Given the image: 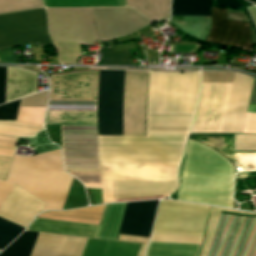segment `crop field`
Masks as SVG:
<instances>
[{"instance_id": "0bd39190", "label": "crop field", "mask_w": 256, "mask_h": 256, "mask_svg": "<svg viewBox=\"0 0 256 256\" xmlns=\"http://www.w3.org/2000/svg\"><path fill=\"white\" fill-rule=\"evenodd\" d=\"M234 73L202 72V82L232 83Z\"/></svg>"}, {"instance_id": "e1f06a70", "label": "crop field", "mask_w": 256, "mask_h": 256, "mask_svg": "<svg viewBox=\"0 0 256 256\" xmlns=\"http://www.w3.org/2000/svg\"><path fill=\"white\" fill-rule=\"evenodd\" d=\"M202 237L152 234L150 241L200 244Z\"/></svg>"}, {"instance_id": "00972430", "label": "crop field", "mask_w": 256, "mask_h": 256, "mask_svg": "<svg viewBox=\"0 0 256 256\" xmlns=\"http://www.w3.org/2000/svg\"><path fill=\"white\" fill-rule=\"evenodd\" d=\"M139 245L89 238L82 256H136ZM146 246L140 245L137 256H144Z\"/></svg>"}, {"instance_id": "5a996713", "label": "crop field", "mask_w": 256, "mask_h": 256, "mask_svg": "<svg viewBox=\"0 0 256 256\" xmlns=\"http://www.w3.org/2000/svg\"><path fill=\"white\" fill-rule=\"evenodd\" d=\"M46 20L44 9L0 15V49L28 43L31 48L53 45Z\"/></svg>"}, {"instance_id": "ac0d7876", "label": "crop field", "mask_w": 256, "mask_h": 256, "mask_svg": "<svg viewBox=\"0 0 256 256\" xmlns=\"http://www.w3.org/2000/svg\"><path fill=\"white\" fill-rule=\"evenodd\" d=\"M193 116H147V137L99 136L100 160L179 161Z\"/></svg>"}, {"instance_id": "cbeb9de0", "label": "crop field", "mask_w": 256, "mask_h": 256, "mask_svg": "<svg viewBox=\"0 0 256 256\" xmlns=\"http://www.w3.org/2000/svg\"><path fill=\"white\" fill-rule=\"evenodd\" d=\"M102 180L177 181L179 162H100Z\"/></svg>"}, {"instance_id": "bc2a9ffb", "label": "crop field", "mask_w": 256, "mask_h": 256, "mask_svg": "<svg viewBox=\"0 0 256 256\" xmlns=\"http://www.w3.org/2000/svg\"><path fill=\"white\" fill-rule=\"evenodd\" d=\"M45 204L15 185L0 207V217L27 227Z\"/></svg>"}, {"instance_id": "25e5ab78", "label": "crop field", "mask_w": 256, "mask_h": 256, "mask_svg": "<svg viewBox=\"0 0 256 256\" xmlns=\"http://www.w3.org/2000/svg\"><path fill=\"white\" fill-rule=\"evenodd\" d=\"M256 255V224L255 228L249 243V247L246 253V256H255Z\"/></svg>"}, {"instance_id": "73cf0c24", "label": "crop field", "mask_w": 256, "mask_h": 256, "mask_svg": "<svg viewBox=\"0 0 256 256\" xmlns=\"http://www.w3.org/2000/svg\"><path fill=\"white\" fill-rule=\"evenodd\" d=\"M149 238L145 237H137V236H126V235H119L118 240L121 241H129V242H140V243H147Z\"/></svg>"}, {"instance_id": "5142ce71", "label": "crop field", "mask_w": 256, "mask_h": 256, "mask_svg": "<svg viewBox=\"0 0 256 256\" xmlns=\"http://www.w3.org/2000/svg\"><path fill=\"white\" fill-rule=\"evenodd\" d=\"M90 9L100 40L125 36L151 24L130 7Z\"/></svg>"}, {"instance_id": "bd1437ed", "label": "crop field", "mask_w": 256, "mask_h": 256, "mask_svg": "<svg viewBox=\"0 0 256 256\" xmlns=\"http://www.w3.org/2000/svg\"><path fill=\"white\" fill-rule=\"evenodd\" d=\"M45 7L126 6L124 0H43Z\"/></svg>"}, {"instance_id": "03da06ac", "label": "crop field", "mask_w": 256, "mask_h": 256, "mask_svg": "<svg viewBox=\"0 0 256 256\" xmlns=\"http://www.w3.org/2000/svg\"><path fill=\"white\" fill-rule=\"evenodd\" d=\"M46 131L49 139L57 143L62 149L60 126H46Z\"/></svg>"}, {"instance_id": "214f88e0", "label": "crop field", "mask_w": 256, "mask_h": 256, "mask_svg": "<svg viewBox=\"0 0 256 256\" xmlns=\"http://www.w3.org/2000/svg\"><path fill=\"white\" fill-rule=\"evenodd\" d=\"M252 78L235 73L223 133H242Z\"/></svg>"}, {"instance_id": "d1516ede", "label": "crop field", "mask_w": 256, "mask_h": 256, "mask_svg": "<svg viewBox=\"0 0 256 256\" xmlns=\"http://www.w3.org/2000/svg\"><path fill=\"white\" fill-rule=\"evenodd\" d=\"M45 107H19L16 121H0V179L4 180L15 153L16 138L34 137L44 128Z\"/></svg>"}, {"instance_id": "5866460e", "label": "crop field", "mask_w": 256, "mask_h": 256, "mask_svg": "<svg viewBox=\"0 0 256 256\" xmlns=\"http://www.w3.org/2000/svg\"><path fill=\"white\" fill-rule=\"evenodd\" d=\"M25 229L0 219V250L11 243Z\"/></svg>"}, {"instance_id": "22f410ed", "label": "crop field", "mask_w": 256, "mask_h": 256, "mask_svg": "<svg viewBox=\"0 0 256 256\" xmlns=\"http://www.w3.org/2000/svg\"><path fill=\"white\" fill-rule=\"evenodd\" d=\"M232 84L202 83L190 132L222 133Z\"/></svg>"}, {"instance_id": "92a150f3", "label": "crop field", "mask_w": 256, "mask_h": 256, "mask_svg": "<svg viewBox=\"0 0 256 256\" xmlns=\"http://www.w3.org/2000/svg\"><path fill=\"white\" fill-rule=\"evenodd\" d=\"M158 202L127 203L119 233L149 237Z\"/></svg>"}, {"instance_id": "0fb4a251", "label": "crop field", "mask_w": 256, "mask_h": 256, "mask_svg": "<svg viewBox=\"0 0 256 256\" xmlns=\"http://www.w3.org/2000/svg\"><path fill=\"white\" fill-rule=\"evenodd\" d=\"M250 2H252V3H255L256 2V0H249Z\"/></svg>"}, {"instance_id": "733c2abd", "label": "crop field", "mask_w": 256, "mask_h": 256, "mask_svg": "<svg viewBox=\"0 0 256 256\" xmlns=\"http://www.w3.org/2000/svg\"><path fill=\"white\" fill-rule=\"evenodd\" d=\"M97 101H49L45 125H96Z\"/></svg>"}, {"instance_id": "750c4746", "label": "crop field", "mask_w": 256, "mask_h": 256, "mask_svg": "<svg viewBox=\"0 0 256 256\" xmlns=\"http://www.w3.org/2000/svg\"><path fill=\"white\" fill-rule=\"evenodd\" d=\"M211 0H173L172 15L210 16Z\"/></svg>"}, {"instance_id": "d32e631a", "label": "crop field", "mask_w": 256, "mask_h": 256, "mask_svg": "<svg viewBox=\"0 0 256 256\" xmlns=\"http://www.w3.org/2000/svg\"><path fill=\"white\" fill-rule=\"evenodd\" d=\"M112 45V48H103V65H131L128 50L115 52L114 43L112 40L104 41Z\"/></svg>"}, {"instance_id": "412701ff", "label": "crop field", "mask_w": 256, "mask_h": 256, "mask_svg": "<svg viewBox=\"0 0 256 256\" xmlns=\"http://www.w3.org/2000/svg\"><path fill=\"white\" fill-rule=\"evenodd\" d=\"M72 179L62 168L58 149L31 158L15 156L6 181L46 202L43 211L62 208ZM7 182L0 180V205L14 187Z\"/></svg>"}, {"instance_id": "34b2d1b8", "label": "crop field", "mask_w": 256, "mask_h": 256, "mask_svg": "<svg viewBox=\"0 0 256 256\" xmlns=\"http://www.w3.org/2000/svg\"><path fill=\"white\" fill-rule=\"evenodd\" d=\"M233 175L229 160L189 139L178 200L232 208Z\"/></svg>"}, {"instance_id": "730fd06b", "label": "crop field", "mask_w": 256, "mask_h": 256, "mask_svg": "<svg viewBox=\"0 0 256 256\" xmlns=\"http://www.w3.org/2000/svg\"><path fill=\"white\" fill-rule=\"evenodd\" d=\"M127 6H132L152 22L169 18L170 0H125Z\"/></svg>"}, {"instance_id": "d8731c3e", "label": "crop field", "mask_w": 256, "mask_h": 256, "mask_svg": "<svg viewBox=\"0 0 256 256\" xmlns=\"http://www.w3.org/2000/svg\"><path fill=\"white\" fill-rule=\"evenodd\" d=\"M221 210L230 211V212H239V211H232V210H228V209H224V208L211 207L200 256H207V253H208V250L210 247V243H211V240H212V237L214 234V230H215ZM239 213H245V212H239ZM247 214H256V212L255 213H247ZM229 216L230 215H228V214H223V213L220 214L219 221H218V224H217V227L215 230V234H214V237H213V240L211 243V247H210L208 256H217L218 255L220 245H221V242H222V239L224 236V232H225V229H226V226L228 223ZM241 217L242 216H233V215L231 216L230 223H229V226H228V229L226 232V236H225V239L223 242V246H222L219 256H229L230 255ZM243 218L244 217H242L240 227H241ZM253 219L254 218H250V217L244 218L241 230L239 227L240 234H239V230H238V233H237V236H236V239L234 242V246H235V243H236V240H237V237L239 234L235 249L233 246L234 252L232 249L233 255L231 252L232 256H242L243 255L245 245H246V242H247V239L249 236V232H250V229L252 226ZM255 221H256V218L254 219L253 226H252L250 236H249L247 246H246L243 256H245V253H246V250L248 247V243H249V240H250L253 228H254Z\"/></svg>"}, {"instance_id": "d23c7cc5", "label": "crop field", "mask_w": 256, "mask_h": 256, "mask_svg": "<svg viewBox=\"0 0 256 256\" xmlns=\"http://www.w3.org/2000/svg\"><path fill=\"white\" fill-rule=\"evenodd\" d=\"M5 77L6 68H0V103H3L5 98Z\"/></svg>"}, {"instance_id": "4a817a6b", "label": "crop field", "mask_w": 256, "mask_h": 256, "mask_svg": "<svg viewBox=\"0 0 256 256\" xmlns=\"http://www.w3.org/2000/svg\"><path fill=\"white\" fill-rule=\"evenodd\" d=\"M226 11L211 8V26L206 42L234 45L252 51L248 24L226 21Z\"/></svg>"}, {"instance_id": "028f5c9d", "label": "crop field", "mask_w": 256, "mask_h": 256, "mask_svg": "<svg viewBox=\"0 0 256 256\" xmlns=\"http://www.w3.org/2000/svg\"><path fill=\"white\" fill-rule=\"evenodd\" d=\"M234 151H256V135L235 134Z\"/></svg>"}, {"instance_id": "dbb93151", "label": "crop field", "mask_w": 256, "mask_h": 256, "mask_svg": "<svg viewBox=\"0 0 256 256\" xmlns=\"http://www.w3.org/2000/svg\"><path fill=\"white\" fill-rule=\"evenodd\" d=\"M247 112L256 113V105H249Z\"/></svg>"}, {"instance_id": "f4fd0767", "label": "crop field", "mask_w": 256, "mask_h": 256, "mask_svg": "<svg viewBox=\"0 0 256 256\" xmlns=\"http://www.w3.org/2000/svg\"><path fill=\"white\" fill-rule=\"evenodd\" d=\"M200 73H149L147 114L193 115Z\"/></svg>"}, {"instance_id": "c035e120", "label": "crop field", "mask_w": 256, "mask_h": 256, "mask_svg": "<svg viewBox=\"0 0 256 256\" xmlns=\"http://www.w3.org/2000/svg\"><path fill=\"white\" fill-rule=\"evenodd\" d=\"M19 101L0 106V120H15Z\"/></svg>"}, {"instance_id": "dafd665d", "label": "crop field", "mask_w": 256, "mask_h": 256, "mask_svg": "<svg viewBox=\"0 0 256 256\" xmlns=\"http://www.w3.org/2000/svg\"><path fill=\"white\" fill-rule=\"evenodd\" d=\"M177 182L113 181L114 199L168 195Z\"/></svg>"}, {"instance_id": "b80d0937", "label": "crop field", "mask_w": 256, "mask_h": 256, "mask_svg": "<svg viewBox=\"0 0 256 256\" xmlns=\"http://www.w3.org/2000/svg\"><path fill=\"white\" fill-rule=\"evenodd\" d=\"M48 92H42L31 97L22 99L19 106H46Z\"/></svg>"}, {"instance_id": "a9b5d70f", "label": "crop field", "mask_w": 256, "mask_h": 256, "mask_svg": "<svg viewBox=\"0 0 256 256\" xmlns=\"http://www.w3.org/2000/svg\"><path fill=\"white\" fill-rule=\"evenodd\" d=\"M100 226L35 219L27 230L97 238Z\"/></svg>"}, {"instance_id": "120bbe31", "label": "crop field", "mask_w": 256, "mask_h": 256, "mask_svg": "<svg viewBox=\"0 0 256 256\" xmlns=\"http://www.w3.org/2000/svg\"><path fill=\"white\" fill-rule=\"evenodd\" d=\"M43 7L42 0H0V14Z\"/></svg>"}, {"instance_id": "d9b57169", "label": "crop field", "mask_w": 256, "mask_h": 256, "mask_svg": "<svg viewBox=\"0 0 256 256\" xmlns=\"http://www.w3.org/2000/svg\"><path fill=\"white\" fill-rule=\"evenodd\" d=\"M98 71L51 75L49 100H97Z\"/></svg>"}, {"instance_id": "425ffa30", "label": "crop field", "mask_w": 256, "mask_h": 256, "mask_svg": "<svg viewBox=\"0 0 256 256\" xmlns=\"http://www.w3.org/2000/svg\"><path fill=\"white\" fill-rule=\"evenodd\" d=\"M174 53H191L198 45H172Z\"/></svg>"}, {"instance_id": "4177f3b9", "label": "crop field", "mask_w": 256, "mask_h": 256, "mask_svg": "<svg viewBox=\"0 0 256 256\" xmlns=\"http://www.w3.org/2000/svg\"><path fill=\"white\" fill-rule=\"evenodd\" d=\"M37 73L7 68L6 102L36 92Z\"/></svg>"}, {"instance_id": "c21b1889", "label": "crop field", "mask_w": 256, "mask_h": 256, "mask_svg": "<svg viewBox=\"0 0 256 256\" xmlns=\"http://www.w3.org/2000/svg\"><path fill=\"white\" fill-rule=\"evenodd\" d=\"M227 20L249 23L250 30H251L252 43H256V33L253 30L250 22L247 20L244 13H235V12L228 11L227 12Z\"/></svg>"}, {"instance_id": "d3111659", "label": "crop field", "mask_w": 256, "mask_h": 256, "mask_svg": "<svg viewBox=\"0 0 256 256\" xmlns=\"http://www.w3.org/2000/svg\"><path fill=\"white\" fill-rule=\"evenodd\" d=\"M102 207L103 206L62 213H44L39 216V218L98 224Z\"/></svg>"}, {"instance_id": "eef30255", "label": "crop field", "mask_w": 256, "mask_h": 256, "mask_svg": "<svg viewBox=\"0 0 256 256\" xmlns=\"http://www.w3.org/2000/svg\"><path fill=\"white\" fill-rule=\"evenodd\" d=\"M125 204H107L98 238L116 240Z\"/></svg>"}, {"instance_id": "e52e79f7", "label": "crop field", "mask_w": 256, "mask_h": 256, "mask_svg": "<svg viewBox=\"0 0 256 256\" xmlns=\"http://www.w3.org/2000/svg\"><path fill=\"white\" fill-rule=\"evenodd\" d=\"M65 170L84 183L101 189L97 126H61Z\"/></svg>"}, {"instance_id": "dd49c442", "label": "crop field", "mask_w": 256, "mask_h": 256, "mask_svg": "<svg viewBox=\"0 0 256 256\" xmlns=\"http://www.w3.org/2000/svg\"><path fill=\"white\" fill-rule=\"evenodd\" d=\"M46 10L51 39L58 49L61 63L77 64L75 55L81 54L80 43H101L89 8Z\"/></svg>"}, {"instance_id": "5d738f31", "label": "crop field", "mask_w": 256, "mask_h": 256, "mask_svg": "<svg viewBox=\"0 0 256 256\" xmlns=\"http://www.w3.org/2000/svg\"><path fill=\"white\" fill-rule=\"evenodd\" d=\"M243 133H256V114L247 113Z\"/></svg>"}, {"instance_id": "1d83c4d3", "label": "crop field", "mask_w": 256, "mask_h": 256, "mask_svg": "<svg viewBox=\"0 0 256 256\" xmlns=\"http://www.w3.org/2000/svg\"><path fill=\"white\" fill-rule=\"evenodd\" d=\"M88 201L86 198L85 190L76 179H73L68 196L62 209L77 208L87 206Z\"/></svg>"}, {"instance_id": "b54c1fbb", "label": "crop field", "mask_w": 256, "mask_h": 256, "mask_svg": "<svg viewBox=\"0 0 256 256\" xmlns=\"http://www.w3.org/2000/svg\"><path fill=\"white\" fill-rule=\"evenodd\" d=\"M103 203L113 202L112 181H102Z\"/></svg>"}, {"instance_id": "ae1a2a85", "label": "crop field", "mask_w": 256, "mask_h": 256, "mask_svg": "<svg viewBox=\"0 0 256 256\" xmlns=\"http://www.w3.org/2000/svg\"><path fill=\"white\" fill-rule=\"evenodd\" d=\"M200 245L150 242L147 256H198Z\"/></svg>"}, {"instance_id": "89e229c0", "label": "crop field", "mask_w": 256, "mask_h": 256, "mask_svg": "<svg viewBox=\"0 0 256 256\" xmlns=\"http://www.w3.org/2000/svg\"><path fill=\"white\" fill-rule=\"evenodd\" d=\"M249 104H256V80L254 79Z\"/></svg>"}, {"instance_id": "28ad6ade", "label": "crop field", "mask_w": 256, "mask_h": 256, "mask_svg": "<svg viewBox=\"0 0 256 256\" xmlns=\"http://www.w3.org/2000/svg\"><path fill=\"white\" fill-rule=\"evenodd\" d=\"M38 233L25 231L0 256H30ZM88 238L39 233L31 256H80Z\"/></svg>"}, {"instance_id": "8a807250", "label": "crop field", "mask_w": 256, "mask_h": 256, "mask_svg": "<svg viewBox=\"0 0 256 256\" xmlns=\"http://www.w3.org/2000/svg\"><path fill=\"white\" fill-rule=\"evenodd\" d=\"M148 71H100L98 95L99 135L145 136Z\"/></svg>"}, {"instance_id": "1f2cbd36", "label": "crop field", "mask_w": 256, "mask_h": 256, "mask_svg": "<svg viewBox=\"0 0 256 256\" xmlns=\"http://www.w3.org/2000/svg\"><path fill=\"white\" fill-rule=\"evenodd\" d=\"M248 11H249L254 23L256 24V7H249Z\"/></svg>"}, {"instance_id": "3316defc", "label": "crop field", "mask_w": 256, "mask_h": 256, "mask_svg": "<svg viewBox=\"0 0 256 256\" xmlns=\"http://www.w3.org/2000/svg\"><path fill=\"white\" fill-rule=\"evenodd\" d=\"M209 208L162 200L152 233L203 236Z\"/></svg>"}]
</instances>
